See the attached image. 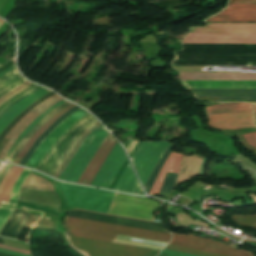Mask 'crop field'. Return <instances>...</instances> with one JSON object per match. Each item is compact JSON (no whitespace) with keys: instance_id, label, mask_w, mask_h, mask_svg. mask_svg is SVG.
I'll return each mask as SVG.
<instances>
[{"instance_id":"8","label":"crop field","mask_w":256,"mask_h":256,"mask_svg":"<svg viewBox=\"0 0 256 256\" xmlns=\"http://www.w3.org/2000/svg\"><path fill=\"white\" fill-rule=\"evenodd\" d=\"M183 43L256 44V34L189 33Z\"/></svg>"},{"instance_id":"15","label":"crop field","mask_w":256,"mask_h":256,"mask_svg":"<svg viewBox=\"0 0 256 256\" xmlns=\"http://www.w3.org/2000/svg\"><path fill=\"white\" fill-rule=\"evenodd\" d=\"M197 97H217V101L256 100V89H190Z\"/></svg>"},{"instance_id":"36","label":"crop field","mask_w":256,"mask_h":256,"mask_svg":"<svg viewBox=\"0 0 256 256\" xmlns=\"http://www.w3.org/2000/svg\"><path fill=\"white\" fill-rule=\"evenodd\" d=\"M177 175L178 174H175V173H170V172L167 173V175L163 181L160 193L169 192L172 190V188L175 185Z\"/></svg>"},{"instance_id":"47","label":"crop field","mask_w":256,"mask_h":256,"mask_svg":"<svg viewBox=\"0 0 256 256\" xmlns=\"http://www.w3.org/2000/svg\"><path fill=\"white\" fill-rule=\"evenodd\" d=\"M249 196L253 199L254 204H252V205H255L256 204V196L253 194H250Z\"/></svg>"},{"instance_id":"21","label":"crop field","mask_w":256,"mask_h":256,"mask_svg":"<svg viewBox=\"0 0 256 256\" xmlns=\"http://www.w3.org/2000/svg\"><path fill=\"white\" fill-rule=\"evenodd\" d=\"M50 91L46 89H39L37 92L32 94L31 96L27 97L26 99L22 100L21 102L14 105L10 108L1 118H0V132L3 128L13 120L19 113H21L25 108L31 105L33 102L44 96L45 94L49 93ZM6 128V127H5ZM4 128V129H5Z\"/></svg>"},{"instance_id":"50","label":"crop field","mask_w":256,"mask_h":256,"mask_svg":"<svg viewBox=\"0 0 256 256\" xmlns=\"http://www.w3.org/2000/svg\"><path fill=\"white\" fill-rule=\"evenodd\" d=\"M1 66V65H0Z\"/></svg>"},{"instance_id":"19","label":"crop field","mask_w":256,"mask_h":256,"mask_svg":"<svg viewBox=\"0 0 256 256\" xmlns=\"http://www.w3.org/2000/svg\"><path fill=\"white\" fill-rule=\"evenodd\" d=\"M201 158L202 157L199 155L183 156L175 187L180 183L186 181L187 179L193 176H196ZM204 161H205V158H202L197 175H203Z\"/></svg>"},{"instance_id":"26","label":"crop field","mask_w":256,"mask_h":256,"mask_svg":"<svg viewBox=\"0 0 256 256\" xmlns=\"http://www.w3.org/2000/svg\"><path fill=\"white\" fill-rule=\"evenodd\" d=\"M29 172H30V170L24 169V171L19 176V178L17 179V181H16V183H15L13 189H12V193H11V197H10L9 203H5V202H2V203H4V204H12V205L16 204V200L18 198L19 187L22 184V182L24 181V179L27 177ZM12 211H13V209H9V208H5V207H1L0 206V229L3 226V224L5 223L6 219L8 218V216L10 215V213Z\"/></svg>"},{"instance_id":"37","label":"crop field","mask_w":256,"mask_h":256,"mask_svg":"<svg viewBox=\"0 0 256 256\" xmlns=\"http://www.w3.org/2000/svg\"><path fill=\"white\" fill-rule=\"evenodd\" d=\"M166 248L172 249V250H177V251H182V252H186V253H190V254H194V255H200V256H224V255H218V254H214V253L199 251V250H195V249H191V248H182V247L172 246V245H168Z\"/></svg>"},{"instance_id":"16","label":"crop field","mask_w":256,"mask_h":256,"mask_svg":"<svg viewBox=\"0 0 256 256\" xmlns=\"http://www.w3.org/2000/svg\"><path fill=\"white\" fill-rule=\"evenodd\" d=\"M116 142L117 141L110 134L107 135L105 141L100 146L97 153L95 154V156L92 158V160L89 162L86 169L82 173L78 183L90 185L97 170L99 169V167L107 157L109 151L111 150V148Z\"/></svg>"},{"instance_id":"10","label":"crop field","mask_w":256,"mask_h":256,"mask_svg":"<svg viewBox=\"0 0 256 256\" xmlns=\"http://www.w3.org/2000/svg\"><path fill=\"white\" fill-rule=\"evenodd\" d=\"M67 216L81 218V219L95 220V221H100V222H105V223L134 226V227L145 228V229L168 233L163 227H161L158 224L140 221V220L129 219V218L92 213V212H87V211H82V210H73V211L69 212L67 214Z\"/></svg>"},{"instance_id":"38","label":"crop field","mask_w":256,"mask_h":256,"mask_svg":"<svg viewBox=\"0 0 256 256\" xmlns=\"http://www.w3.org/2000/svg\"><path fill=\"white\" fill-rule=\"evenodd\" d=\"M237 224L242 226L255 225L256 226V215L249 216H232L231 218Z\"/></svg>"},{"instance_id":"48","label":"crop field","mask_w":256,"mask_h":256,"mask_svg":"<svg viewBox=\"0 0 256 256\" xmlns=\"http://www.w3.org/2000/svg\"><path fill=\"white\" fill-rule=\"evenodd\" d=\"M4 166H5V164L0 163V171L3 169Z\"/></svg>"},{"instance_id":"13","label":"crop field","mask_w":256,"mask_h":256,"mask_svg":"<svg viewBox=\"0 0 256 256\" xmlns=\"http://www.w3.org/2000/svg\"><path fill=\"white\" fill-rule=\"evenodd\" d=\"M206 21L256 22V4H229L222 12Z\"/></svg>"},{"instance_id":"34","label":"crop field","mask_w":256,"mask_h":256,"mask_svg":"<svg viewBox=\"0 0 256 256\" xmlns=\"http://www.w3.org/2000/svg\"><path fill=\"white\" fill-rule=\"evenodd\" d=\"M102 128V125L99 126L97 129H95L94 131H92L89 136L84 140V142L82 143V145L80 146V148L78 149V151L76 152V154L73 156V158L70 160L69 164L67 165V167L65 168V170L62 172V174L59 176V179L63 180V178L66 176V174L68 173V171L70 170V168L73 166V164L75 163V161L77 160V158L79 157V155L82 153V151L84 150V148L86 147V145L89 143V141L92 139V137L95 135V133Z\"/></svg>"},{"instance_id":"49","label":"crop field","mask_w":256,"mask_h":256,"mask_svg":"<svg viewBox=\"0 0 256 256\" xmlns=\"http://www.w3.org/2000/svg\"><path fill=\"white\" fill-rule=\"evenodd\" d=\"M3 21L0 20V26L2 25Z\"/></svg>"},{"instance_id":"20","label":"crop field","mask_w":256,"mask_h":256,"mask_svg":"<svg viewBox=\"0 0 256 256\" xmlns=\"http://www.w3.org/2000/svg\"><path fill=\"white\" fill-rule=\"evenodd\" d=\"M206 27L191 28V32L256 33V24L207 23Z\"/></svg>"},{"instance_id":"6","label":"crop field","mask_w":256,"mask_h":256,"mask_svg":"<svg viewBox=\"0 0 256 256\" xmlns=\"http://www.w3.org/2000/svg\"><path fill=\"white\" fill-rule=\"evenodd\" d=\"M170 244L196 248L214 253L232 255V256H254L253 253L232 249L226 245L206 240L203 238L192 237L188 235H174Z\"/></svg>"},{"instance_id":"4","label":"crop field","mask_w":256,"mask_h":256,"mask_svg":"<svg viewBox=\"0 0 256 256\" xmlns=\"http://www.w3.org/2000/svg\"><path fill=\"white\" fill-rule=\"evenodd\" d=\"M152 207L160 205L151 199L117 193L109 214L151 220Z\"/></svg>"},{"instance_id":"17","label":"crop field","mask_w":256,"mask_h":256,"mask_svg":"<svg viewBox=\"0 0 256 256\" xmlns=\"http://www.w3.org/2000/svg\"><path fill=\"white\" fill-rule=\"evenodd\" d=\"M180 80H256V73L180 72Z\"/></svg>"},{"instance_id":"2","label":"crop field","mask_w":256,"mask_h":256,"mask_svg":"<svg viewBox=\"0 0 256 256\" xmlns=\"http://www.w3.org/2000/svg\"><path fill=\"white\" fill-rule=\"evenodd\" d=\"M55 184L64 195L68 206L105 214H108L110 205L116 194L114 192L67 185L59 182H55Z\"/></svg>"},{"instance_id":"25","label":"crop field","mask_w":256,"mask_h":256,"mask_svg":"<svg viewBox=\"0 0 256 256\" xmlns=\"http://www.w3.org/2000/svg\"><path fill=\"white\" fill-rule=\"evenodd\" d=\"M22 171V168L11 167L0 185V201H9L12 186Z\"/></svg>"},{"instance_id":"29","label":"crop field","mask_w":256,"mask_h":256,"mask_svg":"<svg viewBox=\"0 0 256 256\" xmlns=\"http://www.w3.org/2000/svg\"><path fill=\"white\" fill-rule=\"evenodd\" d=\"M74 105H69L59 111L52 119H50L47 123H45L27 142V144L24 146V148L21 150L19 155L14 160V163L19 164L20 160L22 159L23 155L26 153V151L29 149V147L32 145V143L35 141V139L42 134L54 121H56L62 114H64L66 111H68L70 108H72Z\"/></svg>"},{"instance_id":"40","label":"crop field","mask_w":256,"mask_h":256,"mask_svg":"<svg viewBox=\"0 0 256 256\" xmlns=\"http://www.w3.org/2000/svg\"><path fill=\"white\" fill-rule=\"evenodd\" d=\"M159 256H194V255H189V254H185L177 251L164 249L161 251Z\"/></svg>"},{"instance_id":"45","label":"crop field","mask_w":256,"mask_h":256,"mask_svg":"<svg viewBox=\"0 0 256 256\" xmlns=\"http://www.w3.org/2000/svg\"><path fill=\"white\" fill-rule=\"evenodd\" d=\"M0 251H1V252H5V253H9V254H13V255H16V256H29V255H25V254H21V253L13 252V251H9V250H5V249H1V248H0Z\"/></svg>"},{"instance_id":"7","label":"crop field","mask_w":256,"mask_h":256,"mask_svg":"<svg viewBox=\"0 0 256 256\" xmlns=\"http://www.w3.org/2000/svg\"><path fill=\"white\" fill-rule=\"evenodd\" d=\"M125 159L124 150L117 142L99 169L91 185L109 188Z\"/></svg>"},{"instance_id":"14","label":"crop field","mask_w":256,"mask_h":256,"mask_svg":"<svg viewBox=\"0 0 256 256\" xmlns=\"http://www.w3.org/2000/svg\"><path fill=\"white\" fill-rule=\"evenodd\" d=\"M60 98L58 95H53L48 100L44 101L43 103L37 105L35 108H33L31 111H29L24 118L18 122L5 136V138H11L4 149L2 150L0 154V159L5 155V153L8 151L10 146L13 144L15 139L18 137V135L29 125V123L34 120L39 114H41L44 110L51 107L53 104H55L57 101H59Z\"/></svg>"},{"instance_id":"22","label":"crop field","mask_w":256,"mask_h":256,"mask_svg":"<svg viewBox=\"0 0 256 256\" xmlns=\"http://www.w3.org/2000/svg\"><path fill=\"white\" fill-rule=\"evenodd\" d=\"M188 88H256V81H182Z\"/></svg>"},{"instance_id":"32","label":"crop field","mask_w":256,"mask_h":256,"mask_svg":"<svg viewBox=\"0 0 256 256\" xmlns=\"http://www.w3.org/2000/svg\"><path fill=\"white\" fill-rule=\"evenodd\" d=\"M23 188L53 191L52 187L43 178L34 174H29L26 180L21 185Z\"/></svg>"},{"instance_id":"39","label":"crop field","mask_w":256,"mask_h":256,"mask_svg":"<svg viewBox=\"0 0 256 256\" xmlns=\"http://www.w3.org/2000/svg\"><path fill=\"white\" fill-rule=\"evenodd\" d=\"M256 115V104H254ZM244 137L248 144L256 148V133L244 134Z\"/></svg>"},{"instance_id":"42","label":"crop field","mask_w":256,"mask_h":256,"mask_svg":"<svg viewBox=\"0 0 256 256\" xmlns=\"http://www.w3.org/2000/svg\"><path fill=\"white\" fill-rule=\"evenodd\" d=\"M0 247L1 248H5V249H9V250H13V251H17V252H21V253L30 254L29 251L23 250V249H19V248H14V247L6 246V245H1V244H0Z\"/></svg>"},{"instance_id":"46","label":"crop field","mask_w":256,"mask_h":256,"mask_svg":"<svg viewBox=\"0 0 256 256\" xmlns=\"http://www.w3.org/2000/svg\"><path fill=\"white\" fill-rule=\"evenodd\" d=\"M14 68H15V65L13 64L9 69H7L6 71L0 73V76H2V75H4V74L8 73L9 71H11V70L14 69Z\"/></svg>"},{"instance_id":"5","label":"crop field","mask_w":256,"mask_h":256,"mask_svg":"<svg viewBox=\"0 0 256 256\" xmlns=\"http://www.w3.org/2000/svg\"><path fill=\"white\" fill-rule=\"evenodd\" d=\"M168 145L165 141L141 142L136 150L132 161L143 186Z\"/></svg>"},{"instance_id":"24","label":"crop field","mask_w":256,"mask_h":256,"mask_svg":"<svg viewBox=\"0 0 256 256\" xmlns=\"http://www.w3.org/2000/svg\"><path fill=\"white\" fill-rule=\"evenodd\" d=\"M114 189L139 194L141 188L129 163L116 183Z\"/></svg>"},{"instance_id":"31","label":"crop field","mask_w":256,"mask_h":256,"mask_svg":"<svg viewBox=\"0 0 256 256\" xmlns=\"http://www.w3.org/2000/svg\"><path fill=\"white\" fill-rule=\"evenodd\" d=\"M25 227L56 230L53 219L29 214Z\"/></svg>"},{"instance_id":"9","label":"crop field","mask_w":256,"mask_h":256,"mask_svg":"<svg viewBox=\"0 0 256 256\" xmlns=\"http://www.w3.org/2000/svg\"><path fill=\"white\" fill-rule=\"evenodd\" d=\"M86 111L80 109L67 119H65L53 132H51L45 140L41 143L38 147L32 158L26 164L27 167L34 168L38 166L46 152L52 146V144L68 129L70 128L75 122H77L80 118L86 115ZM54 145V144H53Z\"/></svg>"},{"instance_id":"12","label":"crop field","mask_w":256,"mask_h":256,"mask_svg":"<svg viewBox=\"0 0 256 256\" xmlns=\"http://www.w3.org/2000/svg\"><path fill=\"white\" fill-rule=\"evenodd\" d=\"M107 134L108 132L104 128L96 133V135L87 145L74 166L71 168L67 176L64 178V181H71L77 183L82 171L84 170L94 153L97 151Z\"/></svg>"},{"instance_id":"35","label":"crop field","mask_w":256,"mask_h":256,"mask_svg":"<svg viewBox=\"0 0 256 256\" xmlns=\"http://www.w3.org/2000/svg\"><path fill=\"white\" fill-rule=\"evenodd\" d=\"M173 147H174V145H173V144H170V146L168 147V149L165 151V153H164L163 156L161 157V159H160L159 163L157 164L156 168L154 169V171H153L151 177L149 178V180H148V182H147V184H146L147 187H148V189H147V191H146L147 194H148V192H149V190H150V188H151V186H152V184H153V182H154V180H155V178H156V176H157V174H158V172H159L161 166H162L163 163L166 161V159H167V157L169 156L170 152L172 151Z\"/></svg>"},{"instance_id":"43","label":"crop field","mask_w":256,"mask_h":256,"mask_svg":"<svg viewBox=\"0 0 256 256\" xmlns=\"http://www.w3.org/2000/svg\"><path fill=\"white\" fill-rule=\"evenodd\" d=\"M16 74H18V72H17V69L15 68V69L12 70L10 73H8V74H6V75L0 77V83H1L2 81H4V80H6V79H8V78H10V77H12V76H14V75H16Z\"/></svg>"},{"instance_id":"33","label":"crop field","mask_w":256,"mask_h":256,"mask_svg":"<svg viewBox=\"0 0 256 256\" xmlns=\"http://www.w3.org/2000/svg\"><path fill=\"white\" fill-rule=\"evenodd\" d=\"M99 124L98 122L96 124H94L92 127H90L88 130H86L83 135L80 137V139L76 142V144L74 145L72 151L70 152V154L67 156V158L65 159V161L62 163V165L59 167V169L57 170V172L54 174V177L58 178V176L60 175V173L62 172V170L65 168V166L67 165V163L69 162V160L71 159V157L74 155V153L77 151V149L79 148V146L81 145V143L83 142V140L87 137V135L94 130L96 127H98Z\"/></svg>"},{"instance_id":"28","label":"crop field","mask_w":256,"mask_h":256,"mask_svg":"<svg viewBox=\"0 0 256 256\" xmlns=\"http://www.w3.org/2000/svg\"><path fill=\"white\" fill-rule=\"evenodd\" d=\"M207 114L252 111L251 104L230 103L207 107Z\"/></svg>"},{"instance_id":"1","label":"crop field","mask_w":256,"mask_h":256,"mask_svg":"<svg viewBox=\"0 0 256 256\" xmlns=\"http://www.w3.org/2000/svg\"><path fill=\"white\" fill-rule=\"evenodd\" d=\"M65 226L70 235L79 236L84 238H90L100 241H107L110 242L113 235H123L159 242L168 243L171 239L169 234L135 229L127 226H120V225H112V224H105L95 221L89 220H81V219H74L65 217ZM115 235L112 242L114 243H121L151 249L161 250L166 244L117 236Z\"/></svg>"},{"instance_id":"44","label":"crop field","mask_w":256,"mask_h":256,"mask_svg":"<svg viewBox=\"0 0 256 256\" xmlns=\"http://www.w3.org/2000/svg\"><path fill=\"white\" fill-rule=\"evenodd\" d=\"M230 3H256V0H231Z\"/></svg>"},{"instance_id":"3","label":"crop field","mask_w":256,"mask_h":256,"mask_svg":"<svg viewBox=\"0 0 256 256\" xmlns=\"http://www.w3.org/2000/svg\"><path fill=\"white\" fill-rule=\"evenodd\" d=\"M70 237L75 247L87 251L90 256H156L159 253L157 250Z\"/></svg>"},{"instance_id":"18","label":"crop field","mask_w":256,"mask_h":256,"mask_svg":"<svg viewBox=\"0 0 256 256\" xmlns=\"http://www.w3.org/2000/svg\"><path fill=\"white\" fill-rule=\"evenodd\" d=\"M19 201L32 203L44 207H49L59 210V199L57 200L54 192L35 191L20 188Z\"/></svg>"},{"instance_id":"27","label":"crop field","mask_w":256,"mask_h":256,"mask_svg":"<svg viewBox=\"0 0 256 256\" xmlns=\"http://www.w3.org/2000/svg\"><path fill=\"white\" fill-rule=\"evenodd\" d=\"M78 107H73L68 112H66L64 115H62L56 122H54L42 135H40L37 140L34 142V144L30 147V149L27 151V153L24 155L23 159L20 162V165L25 166L28 159L36 149V147L44 140V138L53 130L55 129L65 118L73 114L75 111H77Z\"/></svg>"},{"instance_id":"11","label":"crop field","mask_w":256,"mask_h":256,"mask_svg":"<svg viewBox=\"0 0 256 256\" xmlns=\"http://www.w3.org/2000/svg\"><path fill=\"white\" fill-rule=\"evenodd\" d=\"M208 124L216 129L229 130L254 127L252 112L208 115Z\"/></svg>"},{"instance_id":"41","label":"crop field","mask_w":256,"mask_h":256,"mask_svg":"<svg viewBox=\"0 0 256 256\" xmlns=\"http://www.w3.org/2000/svg\"><path fill=\"white\" fill-rule=\"evenodd\" d=\"M29 84H30V83L27 82V83H25V84H23V85L17 87L16 89L12 90L11 92H9L7 95H5L4 97H2V98L0 99V103H1L2 101H4L5 99L11 97L12 95H14L15 93H17L18 91H20L21 89H23L24 87H26V86L29 85Z\"/></svg>"},{"instance_id":"30","label":"crop field","mask_w":256,"mask_h":256,"mask_svg":"<svg viewBox=\"0 0 256 256\" xmlns=\"http://www.w3.org/2000/svg\"><path fill=\"white\" fill-rule=\"evenodd\" d=\"M66 101H64L63 99L61 101H59L58 103H56L55 105H53L50 109H48L46 112H44L43 114H41L39 117H37L23 132L22 134L16 139V141L14 142V144L11 146V148L9 149V151L7 152V154L5 155V157L3 158V160L8 161V159L10 158V156L13 154V152L15 151V149L17 148V146L20 144V142L22 141V139L28 134V132L42 119L44 118L47 114H49L52 110H54L56 107H58L59 105H61L62 103H64Z\"/></svg>"},{"instance_id":"23","label":"crop field","mask_w":256,"mask_h":256,"mask_svg":"<svg viewBox=\"0 0 256 256\" xmlns=\"http://www.w3.org/2000/svg\"><path fill=\"white\" fill-rule=\"evenodd\" d=\"M181 154L171 152L170 156L168 157L167 161L161 168L149 194H159L162 180L167 171L176 172L179 171L180 161H181Z\"/></svg>"}]
</instances>
